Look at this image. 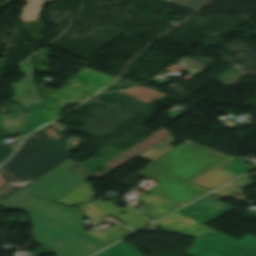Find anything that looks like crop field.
Listing matches in <instances>:
<instances>
[{
	"label": "crop field",
	"instance_id": "obj_25",
	"mask_svg": "<svg viewBox=\"0 0 256 256\" xmlns=\"http://www.w3.org/2000/svg\"><path fill=\"white\" fill-rule=\"evenodd\" d=\"M21 22L26 27L29 35L32 37L33 40L44 39L41 36V32L44 28L41 21H21Z\"/></svg>",
	"mask_w": 256,
	"mask_h": 256
},
{
	"label": "crop field",
	"instance_id": "obj_5",
	"mask_svg": "<svg viewBox=\"0 0 256 256\" xmlns=\"http://www.w3.org/2000/svg\"><path fill=\"white\" fill-rule=\"evenodd\" d=\"M0 205L29 213L33 222L69 209L22 190L0 203Z\"/></svg>",
	"mask_w": 256,
	"mask_h": 256
},
{
	"label": "crop field",
	"instance_id": "obj_7",
	"mask_svg": "<svg viewBox=\"0 0 256 256\" xmlns=\"http://www.w3.org/2000/svg\"><path fill=\"white\" fill-rule=\"evenodd\" d=\"M68 102H73L72 97L67 96L66 93L58 91L44 102L27 113L24 124L20 130L22 134H29L40 127L47 124L46 120L59 107Z\"/></svg>",
	"mask_w": 256,
	"mask_h": 256
},
{
	"label": "crop field",
	"instance_id": "obj_21",
	"mask_svg": "<svg viewBox=\"0 0 256 256\" xmlns=\"http://www.w3.org/2000/svg\"><path fill=\"white\" fill-rule=\"evenodd\" d=\"M28 3L25 6L20 20H36L40 12V7L43 1L46 0H25Z\"/></svg>",
	"mask_w": 256,
	"mask_h": 256
},
{
	"label": "crop field",
	"instance_id": "obj_18",
	"mask_svg": "<svg viewBox=\"0 0 256 256\" xmlns=\"http://www.w3.org/2000/svg\"><path fill=\"white\" fill-rule=\"evenodd\" d=\"M78 80L84 82L89 86L93 85L99 92L103 88L107 87L113 80L103 76L101 73L94 71L84 75L76 76Z\"/></svg>",
	"mask_w": 256,
	"mask_h": 256
},
{
	"label": "crop field",
	"instance_id": "obj_15",
	"mask_svg": "<svg viewBox=\"0 0 256 256\" xmlns=\"http://www.w3.org/2000/svg\"><path fill=\"white\" fill-rule=\"evenodd\" d=\"M235 176L236 175L232 173H229L227 171H224L218 168L206 174L205 176L193 181L192 183L211 190Z\"/></svg>",
	"mask_w": 256,
	"mask_h": 256
},
{
	"label": "crop field",
	"instance_id": "obj_1",
	"mask_svg": "<svg viewBox=\"0 0 256 256\" xmlns=\"http://www.w3.org/2000/svg\"><path fill=\"white\" fill-rule=\"evenodd\" d=\"M232 159L234 158L187 141L139 175L160 182L146 192L181 206L209 191L190 183L191 181Z\"/></svg>",
	"mask_w": 256,
	"mask_h": 256
},
{
	"label": "crop field",
	"instance_id": "obj_32",
	"mask_svg": "<svg viewBox=\"0 0 256 256\" xmlns=\"http://www.w3.org/2000/svg\"><path fill=\"white\" fill-rule=\"evenodd\" d=\"M101 203H103V204L106 205L107 207L113 206V204H112L111 201H108V202H101Z\"/></svg>",
	"mask_w": 256,
	"mask_h": 256
},
{
	"label": "crop field",
	"instance_id": "obj_24",
	"mask_svg": "<svg viewBox=\"0 0 256 256\" xmlns=\"http://www.w3.org/2000/svg\"><path fill=\"white\" fill-rule=\"evenodd\" d=\"M80 208L86 212V215L95 225L102 224L101 217L108 215L102 212L98 207H96L92 203L80 206Z\"/></svg>",
	"mask_w": 256,
	"mask_h": 256
},
{
	"label": "crop field",
	"instance_id": "obj_28",
	"mask_svg": "<svg viewBox=\"0 0 256 256\" xmlns=\"http://www.w3.org/2000/svg\"><path fill=\"white\" fill-rule=\"evenodd\" d=\"M252 176H256V173H253L251 175H247V176H244L228 185H231V186H234V187H237V188H240V189H243V188H247L251 185L254 184L253 181H249L247 180L248 178L252 177Z\"/></svg>",
	"mask_w": 256,
	"mask_h": 256
},
{
	"label": "crop field",
	"instance_id": "obj_31",
	"mask_svg": "<svg viewBox=\"0 0 256 256\" xmlns=\"http://www.w3.org/2000/svg\"><path fill=\"white\" fill-rule=\"evenodd\" d=\"M63 107H64V106H63ZM61 108H62V107H61ZM61 108H59L58 110H56V111L52 114V116H51L47 121L50 122V121H52L53 119L59 117V111H60Z\"/></svg>",
	"mask_w": 256,
	"mask_h": 256
},
{
	"label": "crop field",
	"instance_id": "obj_35",
	"mask_svg": "<svg viewBox=\"0 0 256 256\" xmlns=\"http://www.w3.org/2000/svg\"><path fill=\"white\" fill-rule=\"evenodd\" d=\"M169 1V0H168Z\"/></svg>",
	"mask_w": 256,
	"mask_h": 256
},
{
	"label": "crop field",
	"instance_id": "obj_13",
	"mask_svg": "<svg viewBox=\"0 0 256 256\" xmlns=\"http://www.w3.org/2000/svg\"><path fill=\"white\" fill-rule=\"evenodd\" d=\"M137 200L150 205L149 207L145 208L140 212L153 220H156L179 207L158 197H155L153 195H147L144 193L139 195Z\"/></svg>",
	"mask_w": 256,
	"mask_h": 256
},
{
	"label": "crop field",
	"instance_id": "obj_3",
	"mask_svg": "<svg viewBox=\"0 0 256 256\" xmlns=\"http://www.w3.org/2000/svg\"><path fill=\"white\" fill-rule=\"evenodd\" d=\"M37 242L56 256H88L110 243L84 232L83 213L69 209L33 223Z\"/></svg>",
	"mask_w": 256,
	"mask_h": 256
},
{
	"label": "crop field",
	"instance_id": "obj_34",
	"mask_svg": "<svg viewBox=\"0 0 256 256\" xmlns=\"http://www.w3.org/2000/svg\"><path fill=\"white\" fill-rule=\"evenodd\" d=\"M0 165H1V163H0Z\"/></svg>",
	"mask_w": 256,
	"mask_h": 256
},
{
	"label": "crop field",
	"instance_id": "obj_27",
	"mask_svg": "<svg viewBox=\"0 0 256 256\" xmlns=\"http://www.w3.org/2000/svg\"><path fill=\"white\" fill-rule=\"evenodd\" d=\"M48 50H42L40 53L35 55L36 60V70L42 71V72H51L49 69V59H48ZM40 60H43L46 64V66H41Z\"/></svg>",
	"mask_w": 256,
	"mask_h": 256
},
{
	"label": "crop field",
	"instance_id": "obj_30",
	"mask_svg": "<svg viewBox=\"0 0 256 256\" xmlns=\"http://www.w3.org/2000/svg\"><path fill=\"white\" fill-rule=\"evenodd\" d=\"M39 89L41 91L43 98H47L57 91L55 89H46L45 84L42 86H39Z\"/></svg>",
	"mask_w": 256,
	"mask_h": 256
},
{
	"label": "crop field",
	"instance_id": "obj_16",
	"mask_svg": "<svg viewBox=\"0 0 256 256\" xmlns=\"http://www.w3.org/2000/svg\"><path fill=\"white\" fill-rule=\"evenodd\" d=\"M201 238L231 242V243L256 255V238H254L250 235L236 241L218 231H215V232L203 235V236H201Z\"/></svg>",
	"mask_w": 256,
	"mask_h": 256
},
{
	"label": "crop field",
	"instance_id": "obj_33",
	"mask_svg": "<svg viewBox=\"0 0 256 256\" xmlns=\"http://www.w3.org/2000/svg\"><path fill=\"white\" fill-rule=\"evenodd\" d=\"M105 76H107V75H105ZM107 77H109V78H111V79H113V80L115 79V77H111V76H107Z\"/></svg>",
	"mask_w": 256,
	"mask_h": 256
},
{
	"label": "crop field",
	"instance_id": "obj_9",
	"mask_svg": "<svg viewBox=\"0 0 256 256\" xmlns=\"http://www.w3.org/2000/svg\"><path fill=\"white\" fill-rule=\"evenodd\" d=\"M186 254L192 256H255L231 243L196 239Z\"/></svg>",
	"mask_w": 256,
	"mask_h": 256
},
{
	"label": "crop field",
	"instance_id": "obj_19",
	"mask_svg": "<svg viewBox=\"0 0 256 256\" xmlns=\"http://www.w3.org/2000/svg\"><path fill=\"white\" fill-rule=\"evenodd\" d=\"M96 256H142L137 252L136 248L130 246L124 241H121L112 247L104 250Z\"/></svg>",
	"mask_w": 256,
	"mask_h": 256
},
{
	"label": "crop field",
	"instance_id": "obj_17",
	"mask_svg": "<svg viewBox=\"0 0 256 256\" xmlns=\"http://www.w3.org/2000/svg\"><path fill=\"white\" fill-rule=\"evenodd\" d=\"M132 231L133 230L117 223L114 226H112L111 230H109L107 232H100V231L92 229V230L88 231V233L112 243Z\"/></svg>",
	"mask_w": 256,
	"mask_h": 256
},
{
	"label": "crop field",
	"instance_id": "obj_10",
	"mask_svg": "<svg viewBox=\"0 0 256 256\" xmlns=\"http://www.w3.org/2000/svg\"><path fill=\"white\" fill-rule=\"evenodd\" d=\"M163 229V231L179 232L191 236L199 237L203 234L215 231L214 229L185 217L177 212L153 224Z\"/></svg>",
	"mask_w": 256,
	"mask_h": 256
},
{
	"label": "crop field",
	"instance_id": "obj_14",
	"mask_svg": "<svg viewBox=\"0 0 256 256\" xmlns=\"http://www.w3.org/2000/svg\"><path fill=\"white\" fill-rule=\"evenodd\" d=\"M76 163L70 158L65 163L60 165L59 167H55L56 169H52L53 171L49 172L39 180L35 181L33 184H31L29 187H25L24 191L35 193L62 174L66 173L67 171L71 170Z\"/></svg>",
	"mask_w": 256,
	"mask_h": 256
},
{
	"label": "crop field",
	"instance_id": "obj_23",
	"mask_svg": "<svg viewBox=\"0 0 256 256\" xmlns=\"http://www.w3.org/2000/svg\"><path fill=\"white\" fill-rule=\"evenodd\" d=\"M243 161H245V159L237 157L234 160L224 164L220 168L227 170L229 172H232L236 175H240V174L252 169L248 165L242 163Z\"/></svg>",
	"mask_w": 256,
	"mask_h": 256
},
{
	"label": "crop field",
	"instance_id": "obj_4",
	"mask_svg": "<svg viewBox=\"0 0 256 256\" xmlns=\"http://www.w3.org/2000/svg\"><path fill=\"white\" fill-rule=\"evenodd\" d=\"M92 197H94L92 186L88 181H86L71 192L56 200V202L75 206L90 201L89 199ZM92 203L96 204L102 211L118 218L121 223L128 225L134 229H138L150 222L130 206L124 208H119L117 206L107 208L99 202ZM124 211H126L127 213L120 214Z\"/></svg>",
	"mask_w": 256,
	"mask_h": 256
},
{
	"label": "crop field",
	"instance_id": "obj_2",
	"mask_svg": "<svg viewBox=\"0 0 256 256\" xmlns=\"http://www.w3.org/2000/svg\"><path fill=\"white\" fill-rule=\"evenodd\" d=\"M62 130L64 128L53 123L31 135L12 159L0 168V172L10 179L0 191V202L71 157L63 144Z\"/></svg>",
	"mask_w": 256,
	"mask_h": 256
},
{
	"label": "crop field",
	"instance_id": "obj_29",
	"mask_svg": "<svg viewBox=\"0 0 256 256\" xmlns=\"http://www.w3.org/2000/svg\"><path fill=\"white\" fill-rule=\"evenodd\" d=\"M216 192H219V193H222V194H225V195H228V196L232 197L235 193H237V192L242 193L244 191L226 185V186L222 187L221 189L217 190Z\"/></svg>",
	"mask_w": 256,
	"mask_h": 256
},
{
	"label": "crop field",
	"instance_id": "obj_12",
	"mask_svg": "<svg viewBox=\"0 0 256 256\" xmlns=\"http://www.w3.org/2000/svg\"><path fill=\"white\" fill-rule=\"evenodd\" d=\"M85 181L84 178L69 171L38 191L36 194L55 201Z\"/></svg>",
	"mask_w": 256,
	"mask_h": 256
},
{
	"label": "crop field",
	"instance_id": "obj_11",
	"mask_svg": "<svg viewBox=\"0 0 256 256\" xmlns=\"http://www.w3.org/2000/svg\"><path fill=\"white\" fill-rule=\"evenodd\" d=\"M7 105L11 111V115L4 117L2 113H0V140L6 136L12 137L17 134L25 115V112L18 103ZM14 150V148L0 144V161H6Z\"/></svg>",
	"mask_w": 256,
	"mask_h": 256
},
{
	"label": "crop field",
	"instance_id": "obj_8",
	"mask_svg": "<svg viewBox=\"0 0 256 256\" xmlns=\"http://www.w3.org/2000/svg\"><path fill=\"white\" fill-rule=\"evenodd\" d=\"M232 209L234 208L206 195L177 212L205 224Z\"/></svg>",
	"mask_w": 256,
	"mask_h": 256
},
{
	"label": "crop field",
	"instance_id": "obj_22",
	"mask_svg": "<svg viewBox=\"0 0 256 256\" xmlns=\"http://www.w3.org/2000/svg\"><path fill=\"white\" fill-rule=\"evenodd\" d=\"M62 91H65L67 95L73 96L74 102H77L84 97H91L97 93L93 86L88 88L87 85L74 88H63Z\"/></svg>",
	"mask_w": 256,
	"mask_h": 256
},
{
	"label": "crop field",
	"instance_id": "obj_20",
	"mask_svg": "<svg viewBox=\"0 0 256 256\" xmlns=\"http://www.w3.org/2000/svg\"><path fill=\"white\" fill-rule=\"evenodd\" d=\"M215 0H171L168 3L199 12Z\"/></svg>",
	"mask_w": 256,
	"mask_h": 256
},
{
	"label": "crop field",
	"instance_id": "obj_26",
	"mask_svg": "<svg viewBox=\"0 0 256 256\" xmlns=\"http://www.w3.org/2000/svg\"><path fill=\"white\" fill-rule=\"evenodd\" d=\"M174 142H176V140L171 136L169 139L163 141L162 143L155 146L154 148H152L151 150L147 151L146 153H144L143 155H141L139 157L146 160V159L150 158L151 156H153L154 154L158 153L159 151L163 150L164 148L168 147L169 145H171Z\"/></svg>",
	"mask_w": 256,
	"mask_h": 256
},
{
	"label": "crop field",
	"instance_id": "obj_6",
	"mask_svg": "<svg viewBox=\"0 0 256 256\" xmlns=\"http://www.w3.org/2000/svg\"><path fill=\"white\" fill-rule=\"evenodd\" d=\"M20 71L24 73V78H20L19 83H13V101L18 102L22 109L27 111L42 100L35 81L33 58L19 65Z\"/></svg>",
	"mask_w": 256,
	"mask_h": 256
}]
</instances>
